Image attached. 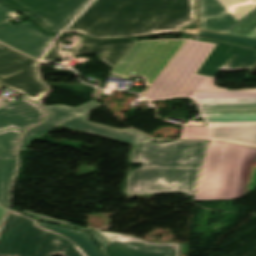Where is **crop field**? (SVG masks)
Here are the masks:
<instances>
[{
  "mask_svg": "<svg viewBox=\"0 0 256 256\" xmlns=\"http://www.w3.org/2000/svg\"><path fill=\"white\" fill-rule=\"evenodd\" d=\"M200 29L228 33L256 14V0H198Z\"/></svg>",
  "mask_w": 256,
  "mask_h": 256,
  "instance_id": "5a996713",
  "label": "crop field"
},
{
  "mask_svg": "<svg viewBox=\"0 0 256 256\" xmlns=\"http://www.w3.org/2000/svg\"><path fill=\"white\" fill-rule=\"evenodd\" d=\"M46 123L130 143L136 144L141 141L147 140V138L140 132L133 129L119 130L95 123H91L85 120L49 112Z\"/></svg>",
  "mask_w": 256,
  "mask_h": 256,
  "instance_id": "22f410ed",
  "label": "crop field"
},
{
  "mask_svg": "<svg viewBox=\"0 0 256 256\" xmlns=\"http://www.w3.org/2000/svg\"><path fill=\"white\" fill-rule=\"evenodd\" d=\"M38 33L28 22L13 26L9 23L0 25V41L8 44L13 41Z\"/></svg>",
  "mask_w": 256,
  "mask_h": 256,
  "instance_id": "4a817a6b",
  "label": "crop field"
},
{
  "mask_svg": "<svg viewBox=\"0 0 256 256\" xmlns=\"http://www.w3.org/2000/svg\"><path fill=\"white\" fill-rule=\"evenodd\" d=\"M3 86L2 85H0V90H1V88H2ZM5 104H7L6 102H4V101H2V100H0V107L1 106H3V105H5Z\"/></svg>",
  "mask_w": 256,
  "mask_h": 256,
  "instance_id": "5866460e",
  "label": "crop field"
},
{
  "mask_svg": "<svg viewBox=\"0 0 256 256\" xmlns=\"http://www.w3.org/2000/svg\"><path fill=\"white\" fill-rule=\"evenodd\" d=\"M19 11L25 13L26 15H28L30 18H32L36 23H38L42 28H44L47 32H51V33H57L59 31H54V30H47V28L29 11L26 9H19Z\"/></svg>",
  "mask_w": 256,
  "mask_h": 256,
  "instance_id": "d3111659",
  "label": "crop field"
},
{
  "mask_svg": "<svg viewBox=\"0 0 256 256\" xmlns=\"http://www.w3.org/2000/svg\"><path fill=\"white\" fill-rule=\"evenodd\" d=\"M39 226L58 232L68 237L70 240L76 243L87 256H98L90 251L94 248H97V246L88 235V233L43 222H39Z\"/></svg>",
  "mask_w": 256,
  "mask_h": 256,
  "instance_id": "733c2abd",
  "label": "crop field"
},
{
  "mask_svg": "<svg viewBox=\"0 0 256 256\" xmlns=\"http://www.w3.org/2000/svg\"><path fill=\"white\" fill-rule=\"evenodd\" d=\"M93 252H95L96 254L100 255V256H103L99 250V248L95 249V250H92Z\"/></svg>",
  "mask_w": 256,
  "mask_h": 256,
  "instance_id": "d32e631a",
  "label": "crop field"
},
{
  "mask_svg": "<svg viewBox=\"0 0 256 256\" xmlns=\"http://www.w3.org/2000/svg\"><path fill=\"white\" fill-rule=\"evenodd\" d=\"M5 209H6L5 207L0 205V222H1V219H2V216L4 214Z\"/></svg>",
  "mask_w": 256,
  "mask_h": 256,
  "instance_id": "750c4746",
  "label": "crop field"
},
{
  "mask_svg": "<svg viewBox=\"0 0 256 256\" xmlns=\"http://www.w3.org/2000/svg\"><path fill=\"white\" fill-rule=\"evenodd\" d=\"M192 98L207 126L186 128L184 137L256 146V89L197 92Z\"/></svg>",
  "mask_w": 256,
  "mask_h": 256,
  "instance_id": "34b2d1b8",
  "label": "crop field"
},
{
  "mask_svg": "<svg viewBox=\"0 0 256 256\" xmlns=\"http://www.w3.org/2000/svg\"><path fill=\"white\" fill-rule=\"evenodd\" d=\"M0 83L33 101L47 92L38 79L37 62L5 46L0 47Z\"/></svg>",
  "mask_w": 256,
  "mask_h": 256,
  "instance_id": "d8731c3e",
  "label": "crop field"
},
{
  "mask_svg": "<svg viewBox=\"0 0 256 256\" xmlns=\"http://www.w3.org/2000/svg\"><path fill=\"white\" fill-rule=\"evenodd\" d=\"M62 52H63L64 56H70V53H71V52H67V51H62Z\"/></svg>",
  "mask_w": 256,
  "mask_h": 256,
  "instance_id": "e1f06a70",
  "label": "crop field"
},
{
  "mask_svg": "<svg viewBox=\"0 0 256 256\" xmlns=\"http://www.w3.org/2000/svg\"><path fill=\"white\" fill-rule=\"evenodd\" d=\"M197 38L200 39L201 41L217 43L216 40H210V39L199 38V37H197ZM218 42H219V41H218Z\"/></svg>",
  "mask_w": 256,
  "mask_h": 256,
  "instance_id": "bd1437ed",
  "label": "crop field"
},
{
  "mask_svg": "<svg viewBox=\"0 0 256 256\" xmlns=\"http://www.w3.org/2000/svg\"><path fill=\"white\" fill-rule=\"evenodd\" d=\"M184 40L154 39L135 41L111 72L121 77L140 76L149 86Z\"/></svg>",
  "mask_w": 256,
  "mask_h": 256,
  "instance_id": "e52e79f7",
  "label": "crop field"
},
{
  "mask_svg": "<svg viewBox=\"0 0 256 256\" xmlns=\"http://www.w3.org/2000/svg\"><path fill=\"white\" fill-rule=\"evenodd\" d=\"M29 23L32 25V26H34L37 30H38V28L31 22V21H29ZM43 33V32H42Z\"/></svg>",
  "mask_w": 256,
  "mask_h": 256,
  "instance_id": "c035e120",
  "label": "crop field"
},
{
  "mask_svg": "<svg viewBox=\"0 0 256 256\" xmlns=\"http://www.w3.org/2000/svg\"><path fill=\"white\" fill-rule=\"evenodd\" d=\"M199 34L225 40V41L236 42V43H241V44L256 47V39H252V38L236 37V36L224 35V34L207 32V31H200Z\"/></svg>",
  "mask_w": 256,
  "mask_h": 256,
  "instance_id": "4177f3b9",
  "label": "crop field"
},
{
  "mask_svg": "<svg viewBox=\"0 0 256 256\" xmlns=\"http://www.w3.org/2000/svg\"><path fill=\"white\" fill-rule=\"evenodd\" d=\"M171 32L170 30L154 31L153 33Z\"/></svg>",
  "mask_w": 256,
  "mask_h": 256,
  "instance_id": "0bd39190",
  "label": "crop field"
},
{
  "mask_svg": "<svg viewBox=\"0 0 256 256\" xmlns=\"http://www.w3.org/2000/svg\"><path fill=\"white\" fill-rule=\"evenodd\" d=\"M0 46H2V45L0 44Z\"/></svg>",
  "mask_w": 256,
  "mask_h": 256,
  "instance_id": "c21b1889",
  "label": "crop field"
},
{
  "mask_svg": "<svg viewBox=\"0 0 256 256\" xmlns=\"http://www.w3.org/2000/svg\"><path fill=\"white\" fill-rule=\"evenodd\" d=\"M24 213L26 214H29L33 217H36L40 220H44V221H49V222H54V223H58V224H62V225H66V226H70V227H74V228H78V229H82V230H86V231H89L91 233V235L95 238V240L99 243V245H103L105 243H107L104 239V237L98 235L97 233H95L94 231L90 230V229H86L84 227H81L79 225H76V224H72V223H66V222H60V221H55V220H51V219H47V218H43V217H40V216H37V215H34V214H31V213H28V212H25L23 211Z\"/></svg>",
  "mask_w": 256,
  "mask_h": 256,
  "instance_id": "730fd06b",
  "label": "crop field"
},
{
  "mask_svg": "<svg viewBox=\"0 0 256 256\" xmlns=\"http://www.w3.org/2000/svg\"><path fill=\"white\" fill-rule=\"evenodd\" d=\"M22 131L0 132V202L8 206V190L16 166L15 151Z\"/></svg>",
  "mask_w": 256,
  "mask_h": 256,
  "instance_id": "5142ce71",
  "label": "crop field"
},
{
  "mask_svg": "<svg viewBox=\"0 0 256 256\" xmlns=\"http://www.w3.org/2000/svg\"><path fill=\"white\" fill-rule=\"evenodd\" d=\"M214 46L186 41L143 97L155 100L189 96L194 91L227 90L214 86L216 78L195 74Z\"/></svg>",
  "mask_w": 256,
  "mask_h": 256,
  "instance_id": "f4fd0767",
  "label": "crop field"
},
{
  "mask_svg": "<svg viewBox=\"0 0 256 256\" xmlns=\"http://www.w3.org/2000/svg\"><path fill=\"white\" fill-rule=\"evenodd\" d=\"M101 106L96 101L92 100L84 105H81L77 108H69L63 105L57 106H45L46 110L86 119L88 118L89 111Z\"/></svg>",
  "mask_w": 256,
  "mask_h": 256,
  "instance_id": "92a150f3",
  "label": "crop field"
},
{
  "mask_svg": "<svg viewBox=\"0 0 256 256\" xmlns=\"http://www.w3.org/2000/svg\"><path fill=\"white\" fill-rule=\"evenodd\" d=\"M186 24H188V23L185 21V22H183L182 24H180V26L182 27V26H184V25H186Z\"/></svg>",
  "mask_w": 256,
  "mask_h": 256,
  "instance_id": "b80d0937",
  "label": "crop field"
},
{
  "mask_svg": "<svg viewBox=\"0 0 256 256\" xmlns=\"http://www.w3.org/2000/svg\"><path fill=\"white\" fill-rule=\"evenodd\" d=\"M55 36L38 33L33 36L8 44L9 46L40 59L50 40Z\"/></svg>",
  "mask_w": 256,
  "mask_h": 256,
  "instance_id": "d9b57169",
  "label": "crop field"
},
{
  "mask_svg": "<svg viewBox=\"0 0 256 256\" xmlns=\"http://www.w3.org/2000/svg\"><path fill=\"white\" fill-rule=\"evenodd\" d=\"M0 6H2L4 8H6V9L16 13V11L12 10L11 8L7 7L6 5L2 4L1 2H0Z\"/></svg>",
  "mask_w": 256,
  "mask_h": 256,
  "instance_id": "120bbe31",
  "label": "crop field"
},
{
  "mask_svg": "<svg viewBox=\"0 0 256 256\" xmlns=\"http://www.w3.org/2000/svg\"><path fill=\"white\" fill-rule=\"evenodd\" d=\"M56 127L57 126L43 123L33 129L28 130L23 137V141H22L20 150L27 149L29 143H31L33 140H35L39 136L45 134L46 132H48Z\"/></svg>",
  "mask_w": 256,
  "mask_h": 256,
  "instance_id": "00972430",
  "label": "crop field"
},
{
  "mask_svg": "<svg viewBox=\"0 0 256 256\" xmlns=\"http://www.w3.org/2000/svg\"><path fill=\"white\" fill-rule=\"evenodd\" d=\"M18 17L17 14H14L2 7H0V24L6 23L7 20Z\"/></svg>",
  "mask_w": 256,
  "mask_h": 256,
  "instance_id": "ae1a2a85",
  "label": "crop field"
},
{
  "mask_svg": "<svg viewBox=\"0 0 256 256\" xmlns=\"http://www.w3.org/2000/svg\"><path fill=\"white\" fill-rule=\"evenodd\" d=\"M146 20L194 22V0H96L69 29L89 34L127 32Z\"/></svg>",
  "mask_w": 256,
  "mask_h": 256,
  "instance_id": "ac0d7876",
  "label": "crop field"
},
{
  "mask_svg": "<svg viewBox=\"0 0 256 256\" xmlns=\"http://www.w3.org/2000/svg\"><path fill=\"white\" fill-rule=\"evenodd\" d=\"M230 35L256 38V15L228 33Z\"/></svg>",
  "mask_w": 256,
  "mask_h": 256,
  "instance_id": "a9b5d70f",
  "label": "crop field"
},
{
  "mask_svg": "<svg viewBox=\"0 0 256 256\" xmlns=\"http://www.w3.org/2000/svg\"><path fill=\"white\" fill-rule=\"evenodd\" d=\"M38 222L11 210L0 235V256H86L68 237Z\"/></svg>",
  "mask_w": 256,
  "mask_h": 256,
  "instance_id": "dd49c442",
  "label": "crop field"
},
{
  "mask_svg": "<svg viewBox=\"0 0 256 256\" xmlns=\"http://www.w3.org/2000/svg\"><path fill=\"white\" fill-rule=\"evenodd\" d=\"M29 9L48 29L62 30L91 0H3Z\"/></svg>",
  "mask_w": 256,
  "mask_h": 256,
  "instance_id": "3316defc",
  "label": "crop field"
},
{
  "mask_svg": "<svg viewBox=\"0 0 256 256\" xmlns=\"http://www.w3.org/2000/svg\"><path fill=\"white\" fill-rule=\"evenodd\" d=\"M134 40H137V38L122 39V40H115V41L119 43H123V42L134 41ZM110 41H96V40H90V39L81 37L73 55L82 54V53H98L99 51H102L103 45Z\"/></svg>",
  "mask_w": 256,
  "mask_h": 256,
  "instance_id": "dafd665d",
  "label": "crop field"
},
{
  "mask_svg": "<svg viewBox=\"0 0 256 256\" xmlns=\"http://www.w3.org/2000/svg\"><path fill=\"white\" fill-rule=\"evenodd\" d=\"M107 244L100 247L105 256H178L181 243L150 244L133 236L97 232Z\"/></svg>",
  "mask_w": 256,
  "mask_h": 256,
  "instance_id": "d1516ede",
  "label": "crop field"
},
{
  "mask_svg": "<svg viewBox=\"0 0 256 256\" xmlns=\"http://www.w3.org/2000/svg\"><path fill=\"white\" fill-rule=\"evenodd\" d=\"M191 37H193V36L192 35H181L180 38H191Z\"/></svg>",
  "mask_w": 256,
  "mask_h": 256,
  "instance_id": "028f5c9d",
  "label": "crop field"
},
{
  "mask_svg": "<svg viewBox=\"0 0 256 256\" xmlns=\"http://www.w3.org/2000/svg\"><path fill=\"white\" fill-rule=\"evenodd\" d=\"M206 142L179 140L157 144L147 140L134 145L131 162L143 166L130 171L127 194L183 192L193 196Z\"/></svg>",
  "mask_w": 256,
  "mask_h": 256,
  "instance_id": "8a807250",
  "label": "crop field"
},
{
  "mask_svg": "<svg viewBox=\"0 0 256 256\" xmlns=\"http://www.w3.org/2000/svg\"><path fill=\"white\" fill-rule=\"evenodd\" d=\"M132 44L133 42L119 44L113 41L104 46L103 52H100L98 57L114 69Z\"/></svg>",
  "mask_w": 256,
  "mask_h": 256,
  "instance_id": "bc2a9ffb",
  "label": "crop field"
},
{
  "mask_svg": "<svg viewBox=\"0 0 256 256\" xmlns=\"http://www.w3.org/2000/svg\"><path fill=\"white\" fill-rule=\"evenodd\" d=\"M255 188V148L208 143L193 200L238 199Z\"/></svg>",
  "mask_w": 256,
  "mask_h": 256,
  "instance_id": "412701ff",
  "label": "crop field"
},
{
  "mask_svg": "<svg viewBox=\"0 0 256 256\" xmlns=\"http://www.w3.org/2000/svg\"><path fill=\"white\" fill-rule=\"evenodd\" d=\"M161 29H171L172 32H179L181 27L179 25L177 26V25L173 24L170 21L165 24L146 21L135 32L97 34V35H89V36H92V37H115V36L134 35V34H150L154 30H161ZM78 31H80V30H78ZM80 32H82V31H80ZM82 33H84V32H82Z\"/></svg>",
  "mask_w": 256,
  "mask_h": 256,
  "instance_id": "214f88e0",
  "label": "crop field"
},
{
  "mask_svg": "<svg viewBox=\"0 0 256 256\" xmlns=\"http://www.w3.org/2000/svg\"><path fill=\"white\" fill-rule=\"evenodd\" d=\"M60 51L58 45H51L46 57L45 61H55L61 59Z\"/></svg>",
  "mask_w": 256,
  "mask_h": 256,
  "instance_id": "eef30255",
  "label": "crop field"
},
{
  "mask_svg": "<svg viewBox=\"0 0 256 256\" xmlns=\"http://www.w3.org/2000/svg\"><path fill=\"white\" fill-rule=\"evenodd\" d=\"M44 118L40 105L22 97L0 108V131L30 127Z\"/></svg>",
  "mask_w": 256,
  "mask_h": 256,
  "instance_id": "cbeb9de0",
  "label": "crop field"
},
{
  "mask_svg": "<svg viewBox=\"0 0 256 256\" xmlns=\"http://www.w3.org/2000/svg\"><path fill=\"white\" fill-rule=\"evenodd\" d=\"M256 62V49L219 41L198 74L217 77L220 71L250 69Z\"/></svg>",
  "mask_w": 256,
  "mask_h": 256,
  "instance_id": "28ad6ade",
  "label": "crop field"
},
{
  "mask_svg": "<svg viewBox=\"0 0 256 256\" xmlns=\"http://www.w3.org/2000/svg\"><path fill=\"white\" fill-rule=\"evenodd\" d=\"M184 32L197 34V30L185 29Z\"/></svg>",
  "mask_w": 256,
  "mask_h": 256,
  "instance_id": "1d83c4d3",
  "label": "crop field"
}]
</instances>
